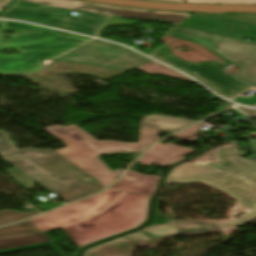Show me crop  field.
Instances as JSON below:
<instances>
[{
  "label": "crop field",
  "mask_w": 256,
  "mask_h": 256,
  "mask_svg": "<svg viewBox=\"0 0 256 256\" xmlns=\"http://www.w3.org/2000/svg\"><path fill=\"white\" fill-rule=\"evenodd\" d=\"M150 199L109 189L47 215L82 248L143 224Z\"/></svg>",
  "instance_id": "obj_1"
},
{
  "label": "crop field",
  "mask_w": 256,
  "mask_h": 256,
  "mask_svg": "<svg viewBox=\"0 0 256 256\" xmlns=\"http://www.w3.org/2000/svg\"><path fill=\"white\" fill-rule=\"evenodd\" d=\"M70 11H77L80 17L67 18ZM184 13L137 9L77 2L71 0H13L0 17L67 28L79 33L96 36L106 26L133 25V22L113 19L131 18L162 22H173Z\"/></svg>",
  "instance_id": "obj_2"
},
{
  "label": "crop field",
  "mask_w": 256,
  "mask_h": 256,
  "mask_svg": "<svg viewBox=\"0 0 256 256\" xmlns=\"http://www.w3.org/2000/svg\"><path fill=\"white\" fill-rule=\"evenodd\" d=\"M194 122L196 121L162 115L144 117L141 120L139 143L99 141L74 124L54 125L44 129L66 144V148L56 150L58 153L106 187L123 170L118 169L113 173L97 156L98 154L138 153L159 139L158 131L175 132Z\"/></svg>",
  "instance_id": "obj_3"
},
{
  "label": "crop field",
  "mask_w": 256,
  "mask_h": 256,
  "mask_svg": "<svg viewBox=\"0 0 256 256\" xmlns=\"http://www.w3.org/2000/svg\"><path fill=\"white\" fill-rule=\"evenodd\" d=\"M0 155L60 198L72 201L103 188L85 180L88 176L53 149L17 151L5 133L0 132Z\"/></svg>",
  "instance_id": "obj_4"
},
{
  "label": "crop field",
  "mask_w": 256,
  "mask_h": 256,
  "mask_svg": "<svg viewBox=\"0 0 256 256\" xmlns=\"http://www.w3.org/2000/svg\"><path fill=\"white\" fill-rule=\"evenodd\" d=\"M217 162L194 165L189 162L172 170L167 181L193 182L201 180L213 187L226 191L238 200V206L231 211L232 220L256 208V165L240 157L237 143L229 148H219ZM241 168L240 170L237 168Z\"/></svg>",
  "instance_id": "obj_5"
},
{
  "label": "crop field",
  "mask_w": 256,
  "mask_h": 256,
  "mask_svg": "<svg viewBox=\"0 0 256 256\" xmlns=\"http://www.w3.org/2000/svg\"><path fill=\"white\" fill-rule=\"evenodd\" d=\"M91 38L73 34H48L0 41V50L17 49L19 55H0V73L37 71L40 63L53 59Z\"/></svg>",
  "instance_id": "obj_6"
},
{
  "label": "crop field",
  "mask_w": 256,
  "mask_h": 256,
  "mask_svg": "<svg viewBox=\"0 0 256 256\" xmlns=\"http://www.w3.org/2000/svg\"><path fill=\"white\" fill-rule=\"evenodd\" d=\"M254 216H256V211L227 223L176 222L174 224L186 234H198L235 227ZM176 233H180V231L172 223L151 226L136 233L94 246L84 251L83 256H129L130 251L137 245L155 247L160 239Z\"/></svg>",
  "instance_id": "obj_7"
},
{
  "label": "crop field",
  "mask_w": 256,
  "mask_h": 256,
  "mask_svg": "<svg viewBox=\"0 0 256 256\" xmlns=\"http://www.w3.org/2000/svg\"><path fill=\"white\" fill-rule=\"evenodd\" d=\"M190 14L186 13L173 22L176 27L168 35L200 44L227 61L241 66L236 74L237 79L256 87V44L178 25Z\"/></svg>",
  "instance_id": "obj_8"
},
{
  "label": "crop field",
  "mask_w": 256,
  "mask_h": 256,
  "mask_svg": "<svg viewBox=\"0 0 256 256\" xmlns=\"http://www.w3.org/2000/svg\"><path fill=\"white\" fill-rule=\"evenodd\" d=\"M141 56L117 45L94 40L57 59L128 71L152 61Z\"/></svg>",
  "instance_id": "obj_9"
},
{
  "label": "crop field",
  "mask_w": 256,
  "mask_h": 256,
  "mask_svg": "<svg viewBox=\"0 0 256 256\" xmlns=\"http://www.w3.org/2000/svg\"><path fill=\"white\" fill-rule=\"evenodd\" d=\"M147 55L198 78L214 91L227 98H232L250 88L206 62L190 64L174 57L168 46L164 44Z\"/></svg>",
  "instance_id": "obj_10"
},
{
  "label": "crop field",
  "mask_w": 256,
  "mask_h": 256,
  "mask_svg": "<svg viewBox=\"0 0 256 256\" xmlns=\"http://www.w3.org/2000/svg\"><path fill=\"white\" fill-rule=\"evenodd\" d=\"M180 25L239 40L256 39V14H191Z\"/></svg>",
  "instance_id": "obj_11"
},
{
  "label": "crop field",
  "mask_w": 256,
  "mask_h": 256,
  "mask_svg": "<svg viewBox=\"0 0 256 256\" xmlns=\"http://www.w3.org/2000/svg\"><path fill=\"white\" fill-rule=\"evenodd\" d=\"M49 246L59 256H66L30 220L0 228V254Z\"/></svg>",
  "instance_id": "obj_12"
},
{
  "label": "crop field",
  "mask_w": 256,
  "mask_h": 256,
  "mask_svg": "<svg viewBox=\"0 0 256 256\" xmlns=\"http://www.w3.org/2000/svg\"><path fill=\"white\" fill-rule=\"evenodd\" d=\"M193 151L194 150L192 149L178 147L172 144H167V145L156 144L152 148L148 149L143 154V157H140L137 162L147 166L154 163L164 167Z\"/></svg>",
  "instance_id": "obj_13"
},
{
  "label": "crop field",
  "mask_w": 256,
  "mask_h": 256,
  "mask_svg": "<svg viewBox=\"0 0 256 256\" xmlns=\"http://www.w3.org/2000/svg\"><path fill=\"white\" fill-rule=\"evenodd\" d=\"M160 177L140 175L128 171L126 175L112 188L153 196Z\"/></svg>",
  "instance_id": "obj_14"
},
{
  "label": "crop field",
  "mask_w": 256,
  "mask_h": 256,
  "mask_svg": "<svg viewBox=\"0 0 256 256\" xmlns=\"http://www.w3.org/2000/svg\"><path fill=\"white\" fill-rule=\"evenodd\" d=\"M158 41L164 44H167L175 56L190 63H199L201 61H209V60H215L219 58V56L211 53L207 49L182 39L164 36ZM182 45L189 46L190 47L189 52L180 53L173 50L175 47L182 46Z\"/></svg>",
  "instance_id": "obj_15"
},
{
  "label": "crop field",
  "mask_w": 256,
  "mask_h": 256,
  "mask_svg": "<svg viewBox=\"0 0 256 256\" xmlns=\"http://www.w3.org/2000/svg\"><path fill=\"white\" fill-rule=\"evenodd\" d=\"M2 30H14L16 32L12 35H9L6 33H2ZM55 32L58 31L43 27H37L29 24H24L20 22L0 21V40L3 39L2 36L4 35L10 38H17Z\"/></svg>",
  "instance_id": "obj_16"
},
{
  "label": "crop field",
  "mask_w": 256,
  "mask_h": 256,
  "mask_svg": "<svg viewBox=\"0 0 256 256\" xmlns=\"http://www.w3.org/2000/svg\"><path fill=\"white\" fill-rule=\"evenodd\" d=\"M138 69L148 73V74H161V75H165V76H169V77H173V78H177L180 80H184V81H188L191 83H194L191 79H189L188 77L174 71L171 70L169 68H166L164 66L158 65L157 63H155L154 61L143 65L141 67H139Z\"/></svg>",
  "instance_id": "obj_17"
},
{
  "label": "crop field",
  "mask_w": 256,
  "mask_h": 256,
  "mask_svg": "<svg viewBox=\"0 0 256 256\" xmlns=\"http://www.w3.org/2000/svg\"><path fill=\"white\" fill-rule=\"evenodd\" d=\"M39 211H31L28 213L20 212V211H11V210H4L0 211V225L8 224L17 220L24 219L31 215L37 214Z\"/></svg>",
  "instance_id": "obj_18"
},
{
  "label": "crop field",
  "mask_w": 256,
  "mask_h": 256,
  "mask_svg": "<svg viewBox=\"0 0 256 256\" xmlns=\"http://www.w3.org/2000/svg\"><path fill=\"white\" fill-rule=\"evenodd\" d=\"M31 221L37 225L42 231L57 228V226L51 221V219L46 215H42L31 219Z\"/></svg>",
  "instance_id": "obj_19"
},
{
  "label": "crop field",
  "mask_w": 256,
  "mask_h": 256,
  "mask_svg": "<svg viewBox=\"0 0 256 256\" xmlns=\"http://www.w3.org/2000/svg\"><path fill=\"white\" fill-rule=\"evenodd\" d=\"M193 3L256 4V0H188Z\"/></svg>",
  "instance_id": "obj_20"
},
{
  "label": "crop field",
  "mask_w": 256,
  "mask_h": 256,
  "mask_svg": "<svg viewBox=\"0 0 256 256\" xmlns=\"http://www.w3.org/2000/svg\"><path fill=\"white\" fill-rule=\"evenodd\" d=\"M221 59V58H220ZM209 64H211V65H213V66H215V67H217L219 70H221V71H223L224 73H226V74H228V75H231V70H234V69H232V68H230V69H225L224 67H226V66H228V65H230V66H234V67H236L237 68V71H238V69H239V67L238 66H236V65H231V64H229L228 62H226V61H224L223 59H221L220 61L217 59V60H215V61H210V62H208ZM235 71V73L237 72L236 70H234ZM234 73V74H235Z\"/></svg>",
  "instance_id": "obj_21"
},
{
  "label": "crop field",
  "mask_w": 256,
  "mask_h": 256,
  "mask_svg": "<svg viewBox=\"0 0 256 256\" xmlns=\"http://www.w3.org/2000/svg\"><path fill=\"white\" fill-rule=\"evenodd\" d=\"M201 124H197L187 130H184L176 135H174L175 137L183 140V139H187V138H190V137H194L196 136L199 128H200Z\"/></svg>",
  "instance_id": "obj_22"
},
{
  "label": "crop field",
  "mask_w": 256,
  "mask_h": 256,
  "mask_svg": "<svg viewBox=\"0 0 256 256\" xmlns=\"http://www.w3.org/2000/svg\"><path fill=\"white\" fill-rule=\"evenodd\" d=\"M11 0H0V10L5 7Z\"/></svg>",
  "instance_id": "obj_23"
},
{
  "label": "crop field",
  "mask_w": 256,
  "mask_h": 256,
  "mask_svg": "<svg viewBox=\"0 0 256 256\" xmlns=\"http://www.w3.org/2000/svg\"><path fill=\"white\" fill-rule=\"evenodd\" d=\"M162 1L183 2V0H162Z\"/></svg>",
  "instance_id": "obj_24"
}]
</instances>
